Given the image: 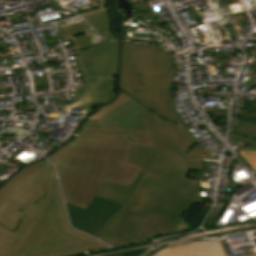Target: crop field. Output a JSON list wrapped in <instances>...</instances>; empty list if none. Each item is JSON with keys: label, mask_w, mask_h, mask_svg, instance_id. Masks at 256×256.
<instances>
[{"label": "crop field", "mask_w": 256, "mask_h": 256, "mask_svg": "<svg viewBox=\"0 0 256 256\" xmlns=\"http://www.w3.org/2000/svg\"><path fill=\"white\" fill-rule=\"evenodd\" d=\"M236 120L256 124V100L254 101L252 107L248 111L244 112L241 118H236Z\"/></svg>", "instance_id": "11"}, {"label": "crop field", "mask_w": 256, "mask_h": 256, "mask_svg": "<svg viewBox=\"0 0 256 256\" xmlns=\"http://www.w3.org/2000/svg\"><path fill=\"white\" fill-rule=\"evenodd\" d=\"M240 153L252 169H256V151H241Z\"/></svg>", "instance_id": "12"}, {"label": "crop field", "mask_w": 256, "mask_h": 256, "mask_svg": "<svg viewBox=\"0 0 256 256\" xmlns=\"http://www.w3.org/2000/svg\"><path fill=\"white\" fill-rule=\"evenodd\" d=\"M6 132L23 136L26 134L27 130L18 129L17 127H6Z\"/></svg>", "instance_id": "13"}, {"label": "crop field", "mask_w": 256, "mask_h": 256, "mask_svg": "<svg viewBox=\"0 0 256 256\" xmlns=\"http://www.w3.org/2000/svg\"><path fill=\"white\" fill-rule=\"evenodd\" d=\"M72 227L98 237L104 223L121 207L95 196L85 210L66 204Z\"/></svg>", "instance_id": "7"}, {"label": "crop field", "mask_w": 256, "mask_h": 256, "mask_svg": "<svg viewBox=\"0 0 256 256\" xmlns=\"http://www.w3.org/2000/svg\"><path fill=\"white\" fill-rule=\"evenodd\" d=\"M236 121V120H234ZM231 141L245 142L251 147H236V151L240 150H256V125L237 121L235 130L231 131Z\"/></svg>", "instance_id": "9"}, {"label": "crop field", "mask_w": 256, "mask_h": 256, "mask_svg": "<svg viewBox=\"0 0 256 256\" xmlns=\"http://www.w3.org/2000/svg\"><path fill=\"white\" fill-rule=\"evenodd\" d=\"M172 76L171 58L162 47L122 43L119 89L158 116L182 123L167 90Z\"/></svg>", "instance_id": "4"}, {"label": "crop field", "mask_w": 256, "mask_h": 256, "mask_svg": "<svg viewBox=\"0 0 256 256\" xmlns=\"http://www.w3.org/2000/svg\"><path fill=\"white\" fill-rule=\"evenodd\" d=\"M154 146L188 169L201 171L204 151L187 129L177 128L147 109Z\"/></svg>", "instance_id": "6"}, {"label": "crop field", "mask_w": 256, "mask_h": 256, "mask_svg": "<svg viewBox=\"0 0 256 256\" xmlns=\"http://www.w3.org/2000/svg\"><path fill=\"white\" fill-rule=\"evenodd\" d=\"M76 61L85 85L77 93L79 100L72 101V105H63L61 110H85L88 115L114 96L118 42H108L100 47H94L77 55Z\"/></svg>", "instance_id": "5"}, {"label": "crop field", "mask_w": 256, "mask_h": 256, "mask_svg": "<svg viewBox=\"0 0 256 256\" xmlns=\"http://www.w3.org/2000/svg\"><path fill=\"white\" fill-rule=\"evenodd\" d=\"M46 162L25 167L0 188V256H67L106 248L68 227L53 167Z\"/></svg>", "instance_id": "3"}, {"label": "crop field", "mask_w": 256, "mask_h": 256, "mask_svg": "<svg viewBox=\"0 0 256 256\" xmlns=\"http://www.w3.org/2000/svg\"><path fill=\"white\" fill-rule=\"evenodd\" d=\"M256 70V69H255Z\"/></svg>", "instance_id": "14"}, {"label": "crop field", "mask_w": 256, "mask_h": 256, "mask_svg": "<svg viewBox=\"0 0 256 256\" xmlns=\"http://www.w3.org/2000/svg\"><path fill=\"white\" fill-rule=\"evenodd\" d=\"M129 162L143 168L131 187L104 182L97 196L123 205L105 224L98 239L111 246L147 240L154 235L187 231L181 217L201 203L198 181L154 146H132Z\"/></svg>", "instance_id": "2"}, {"label": "crop field", "mask_w": 256, "mask_h": 256, "mask_svg": "<svg viewBox=\"0 0 256 256\" xmlns=\"http://www.w3.org/2000/svg\"><path fill=\"white\" fill-rule=\"evenodd\" d=\"M152 256H228V254L223 240L200 239L161 248ZM234 256H256V254Z\"/></svg>", "instance_id": "8"}, {"label": "crop field", "mask_w": 256, "mask_h": 256, "mask_svg": "<svg viewBox=\"0 0 256 256\" xmlns=\"http://www.w3.org/2000/svg\"><path fill=\"white\" fill-rule=\"evenodd\" d=\"M131 145H153L146 107L119 90L112 104L48 157L56 165L65 202L85 209L104 181L131 186L142 170L127 162Z\"/></svg>", "instance_id": "1"}, {"label": "crop field", "mask_w": 256, "mask_h": 256, "mask_svg": "<svg viewBox=\"0 0 256 256\" xmlns=\"http://www.w3.org/2000/svg\"><path fill=\"white\" fill-rule=\"evenodd\" d=\"M88 29H91V27L88 25V23L83 22V23H79V24H75V25L60 28L59 29L60 32L58 33V35H59V37L62 38L63 42L69 41V40H76V39H79V38L86 37L88 35L73 39L71 34L83 32V31H86Z\"/></svg>", "instance_id": "10"}]
</instances>
